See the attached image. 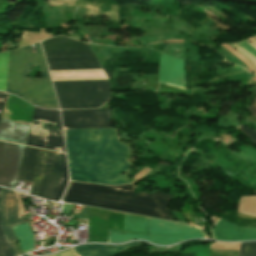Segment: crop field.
Here are the masks:
<instances>
[{
  "label": "crop field",
  "mask_w": 256,
  "mask_h": 256,
  "mask_svg": "<svg viewBox=\"0 0 256 256\" xmlns=\"http://www.w3.org/2000/svg\"><path fill=\"white\" fill-rule=\"evenodd\" d=\"M70 178L74 181L118 185L127 182L132 163L129 146L119 142L115 129L64 130Z\"/></svg>",
  "instance_id": "obj_1"
},
{
  "label": "crop field",
  "mask_w": 256,
  "mask_h": 256,
  "mask_svg": "<svg viewBox=\"0 0 256 256\" xmlns=\"http://www.w3.org/2000/svg\"><path fill=\"white\" fill-rule=\"evenodd\" d=\"M135 188L70 182L64 201L171 220L167 205L171 197L157 190L152 195L134 194Z\"/></svg>",
  "instance_id": "obj_2"
},
{
  "label": "crop field",
  "mask_w": 256,
  "mask_h": 256,
  "mask_svg": "<svg viewBox=\"0 0 256 256\" xmlns=\"http://www.w3.org/2000/svg\"><path fill=\"white\" fill-rule=\"evenodd\" d=\"M37 52L24 47L10 52L6 92L42 108L59 109L40 43ZM29 65H39L42 79L27 78Z\"/></svg>",
  "instance_id": "obj_3"
},
{
  "label": "crop field",
  "mask_w": 256,
  "mask_h": 256,
  "mask_svg": "<svg viewBox=\"0 0 256 256\" xmlns=\"http://www.w3.org/2000/svg\"><path fill=\"white\" fill-rule=\"evenodd\" d=\"M42 44L50 70L102 69L87 44L63 36Z\"/></svg>",
  "instance_id": "obj_4"
},
{
  "label": "crop field",
  "mask_w": 256,
  "mask_h": 256,
  "mask_svg": "<svg viewBox=\"0 0 256 256\" xmlns=\"http://www.w3.org/2000/svg\"><path fill=\"white\" fill-rule=\"evenodd\" d=\"M53 83L61 109L98 108L110 97L108 80Z\"/></svg>",
  "instance_id": "obj_5"
},
{
  "label": "crop field",
  "mask_w": 256,
  "mask_h": 256,
  "mask_svg": "<svg viewBox=\"0 0 256 256\" xmlns=\"http://www.w3.org/2000/svg\"><path fill=\"white\" fill-rule=\"evenodd\" d=\"M205 233L189 225L149 218L148 236L123 234V231L108 230L107 243H121L142 239L159 245H170L188 239L206 238Z\"/></svg>",
  "instance_id": "obj_6"
},
{
  "label": "crop field",
  "mask_w": 256,
  "mask_h": 256,
  "mask_svg": "<svg viewBox=\"0 0 256 256\" xmlns=\"http://www.w3.org/2000/svg\"><path fill=\"white\" fill-rule=\"evenodd\" d=\"M26 145L65 153L59 111L35 108Z\"/></svg>",
  "instance_id": "obj_7"
},
{
  "label": "crop field",
  "mask_w": 256,
  "mask_h": 256,
  "mask_svg": "<svg viewBox=\"0 0 256 256\" xmlns=\"http://www.w3.org/2000/svg\"><path fill=\"white\" fill-rule=\"evenodd\" d=\"M64 129L110 128L109 109L62 111Z\"/></svg>",
  "instance_id": "obj_8"
},
{
  "label": "crop field",
  "mask_w": 256,
  "mask_h": 256,
  "mask_svg": "<svg viewBox=\"0 0 256 256\" xmlns=\"http://www.w3.org/2000/svg\"><path fill=\"white\" fill-rule=\"evenodd\" d=\"M24 147L0 141V186L14 189Z\"/></svg>",
  "instance_id": "obj_9"
},
{
  "label": "crop field",
  "mask_w": 256,
  "mask_h": 256,
  "mask_svg": "<svg viewBox=\"0 0 256 256\" xmlns=\"http://www.w3.org/2000/svg\"><path fill=\"white\" fill-rule=\"evenodd\" d=\"M3 206L5 209V214H6V225L4 223L3 219ZM0 220H1V225L12 245L13 249V254L14 256H19L14 242H18L17 239L15 238L10 226L17 225V224H22L26 223L22 217L17 218V206H16V200H15V194L14 191L4 189L2 188L1 190V196H0Z\"/></svg>",
  "instance_id": "obj_10"
},
{
  "label": "crop field",
  "mask_w": 256,
  "mask_h": 256,
  "mask_svg": "<svg viewBox=\"0 0 256 256\" xmlns=\"http://www.w3.org/2000/svg\"><path fill=\"white\" fill-rule=\"evenodd\" d=\"M158 83L186 90L184 61L161 53Z\"/></svg>",
  "instance_id": "obj_11"
},
{
  "label": "crop field",
  "mask_w": 256,
  "mask_h": 256,
  "mask_svg": "<svg viewBox=\"0 0 256 256\" xmlns=\"http://www.w3.org/2000/svg\"><path fill=\"white\" fill-rule=\"evenodd\" d=\"M67 178L65 155L56 153L44 198L58 201L66 186Z\"/></svg>",
  "instance_id": "obj_12"
},
{
  "label": "crop field",
  "mask_w": 256,
  "mask_h": 256,
  "mask_svg": "<svg viewBox=\"0 0 256 256\" xmlns=\"http://www.w3.org/2000/svg\"><path fill=\"white\" fill-rule=\"evenodd\" d=\"M214 239L225 241L256 240V228H241L219 219L212 231Z\"/></svg>",
  "instance_id": "obj_13"
},
{
  "label": "crop field",
  "mask_w": 256,
  "mask_h": 256,
  "mask_svg": "<svg viewBox=\"0 0 256 256\" xmlns=\"http://www.w3.org/2000/svg\"><path fill=\"white\" fill-rule=\"evenodd\" d=\"M54 154L55 153L53 152L41 150L34 180L31 186V195H35L42 198L44 197Z\"/></svg>",
  "instance_id": "obj_14"
},
{
  "label": "crop field",
  "mask_w": 256,
  "mask_h": 256,
  "mask_svg": "<svg viewBox=\"0 0 256 256\" xmlns=\"http://www.w3.org/2000/svg\"><path fill=\"white\" fill-rule=\"evenodd\" d=\"M29 127L1 118L0 139L25 145Z\"/></svg>",
  "instance_id": "obj_15"
},
{
  "label": "crop field",
  "mask_w": 256,
  "mask_h": 256,
  "mask_svg": "<svg viewBox=\"0 0 256 256\" xmlns=\"http://www.w3.org/2000/svg\"><path fill=\"white\" fill-rule=\"evenodd\" d=\"M140 242L120 246L84 245L73 248L79 256H114L127 248L138 246Z\"/></svg>",
  "instance_id": "obj_16"
},
{
  "label": "crop field",
  "mask_w": 256,
  "mask_h": 256,
  "mask_svg": "<svg viewBox=\"0 0 256 256\" xmlns=\"http://www.w3.org/2000/svg\"><path fill=\"white\" fill-rule=\"evenodd\" d=\"M40 149L25 147L18 179L32 182Z\"/></svg>",
  "instance_id": "obj_17"
},
{
  "label": "crop field",
  "mask_w": 256,
  "mask_h": 256,
  "mask_svg": "<svg viewBox=\"0 0 256 256\" xmlns=\"http://www.w3.org/2000/svg\"><path fill=\"white\" fill-rule=\"evenodd\" d=\"M148 218L125 214L124 233L147 235Z\"/></svg>",
  "instance_id": "obj_18"
},
{
  "label": "crop field",
  "mask_w": 256,
  "mask_h": 256,
  "mask_svg": "<svg viewBox=\"0 0 256 256\" xmlns=\"http://www.w3.org/2000/svg\"><path fill=\"white\" fill-rule=\"evenodd\" d=\"M12 229L19 240L23 252L32 251L34 238L28 223L14 226Z\"/></svg>",
  "instance_id": "obj_19"
},
{
  "label": "crop field",
  "mask_w": 256,
  "mask_h": 256,
  "mask_svg": "<svg viewBox=\"0 0 256 256\" xmlns=\"http://www.w3.org/2000/svg\"><path fill=\"white\" fill-rule=\"evenodd\" d=\"M229 44L237 49L239 52L244 54L246 57H248L251 62L256 66V46L254 44L246 39L238 43Z\"/></svg>",
  "instance_id": "obj_20"
},
{
  "label": "crop field",
  "mask_w": 256,
  "mask_h": 256,
  "mask_svg": "<svg viewBox=\"0 0 256 256\" xmlns=\"http://www.w3.org/2000/svg\"><path fill=\"white\" fill-rule=\"evenodd\" d=\"M9 52L0 53V90L5 92Z\"/></svg>",
  "instance_id": "obj_21"
},
{
  "label": "crop field",
  "mask_w": 256,
  "mask_h": 256,
  "mask_svg": "<svg viewBox=\"0 0 256 256\" xmlns=\"http://www.w3.org/2000/svg\"><path fill=\"white\" fill-rule=\"evenodd\" d=\"M1 190V188H0ZM0 256H13L11 245L0 225Z\"/></svg>",
  "instance_id": "obj_22"
},
{
  "label": "crop field",
  "mask_w": 256,
  "mask_h": 256,
  "mask_svg": "<svg viewBox=\"0 0 256 256\" xmlns=\"http://www.w3.org/2000/svg\"><path fill=\"white\" fill-rule=\"evenodd\" d=\"M239 256H256V242L241 243Z\"/></svg>",
  "instance_id": "obj_23"
},
{
  "label": "crop field",
  "mask_w": 256,
  "mask_h": 256,
  "mask_svg": "<svg viewBox=\"0 0 256 256\" xmlns=\"http://www.w3.org/2000/svg\"><path fill=\"white\" fill-rule=\"evenodd\" d=\"M236 129H238L241 132H243L244 134H246L256 144V132H254L242 125H239Z\"/></svg>",
  "instance_id": "obj_24"
},
{
  "label": "crop field",
  "mask_w": 256,
  "mask_h": 256,
  "mask_svg": "<svg viewBox=\"0 0 256 256\" xmlns=\"http://www.w3.org/2000/svg\"><path fill=\"white\" fill-rule=\"evenodd\" d=\"M247 110L249 111V113L256 118V86H255V98H254V102L251 105L250 108H247Z\"/></svg>",
  "instance_id": "obj_25"
},
{
  "label": "crop field",
  "mask_w": 256,
  "mask_h": 256,
  "mask_svg": "<svg viewBox=\"0 0 256 256\" xmlns=\"http://www.w3.org/2000/svg\"><path fill=\"white\" fill-rule=\"evenodd\" d=\"M6 95H7L6 93L0 92V118H1L2 110H3V106L5 103Z\"/></svg>",
  "instance_id": "obj_26"
},
{
  "label": "crop field",
  "mask_w": 256,
  "mask_h": 256,
  "mask_svg": "<svg viewBox=\"0 0 256 256\" xmlns=\"http://www.w3.org/2000/svg\"><path fill=\"white\" fill-rule=\"evenodd\" d=\"M60 256H74L72 249L59 253Z\"/></svg>",
  "instance_id": "obj_27"
},
{
  "label": "crop field",
  "mask_w": 256,
  "mask_h": 256,
  "mask_svg": "<svg viewBox=\"0 0 256 256\" xmlns=\"http://www.w3.org/2000/svg\"><path fill=\"white\" fill-rule=\"evenodd\" d=\"M237 216H238L239 218H241V219L246 220V221H253V222H256V218H246V217L241 216V215H239V214H237Z\"/></svg>",
  "instance_id": "obj_28"
},
{
  "label": "crop field",
  "mask_w": 256,
  "mask_h": 256,
  "mask_svg": "<svg viewBox=\"0 0 256 256\" xmlns=\"http://www.w3.org/2000/svg\"><path fill=\"white\" fill-rule=\"evenodd\" d=\"M246 39H248L249 41H251L252 43H254L256 45V35L251 36V37L246 38Z\"/></svg>",
  "instance_id": "obj_29"
}]
</instances>
